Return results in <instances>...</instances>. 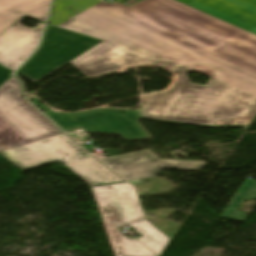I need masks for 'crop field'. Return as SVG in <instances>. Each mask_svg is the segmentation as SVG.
Returning <instances> with one entry per match:
<instances>
[{
	"instance_id": "obj_1",
	"label": "crop field",
	"mask_w": 256,
	"mask_h": 256,
	"mask_svg": "<svg viewBox=\"0 0 256 256\" xmlns=\"http://www.w3.org/2000/svg\"><path fill=\"white\" fill-rule=\"evenodd\" d=\"M58 27L104 40L70 62L87 77L158 64L179 73L142 111L97 109L47 113L66 132L150 136L139 118L200 126H245L256 116V35L175 0H144L124 10L101 2ZM190 69L211 76L191 84Z\"/></svg>"
},
{
	"instance_id": "obj_2",
	"label": "crop field",
	"mask_w": 256,
	"mask_h": 256,
	"mask_svg": "<svg viewBox=\"0 0 256 256\" xmlns=\"http://www.w3.org/2000/svg\"><path fill=\"white\" fill-rule=\"evenodd\" d=\"M0 154L22 170L59 160L90 185L123 181L64 134Z\"/></svg>"
},
{
	"instance_id": "obj_3",
	"label": "crop field",
	"mask_w": 256,
	"mask_h": 256,
	"mask_svg": "<svg viewBox=\"0 0 256 256\" xmlns=\"http://www.w3.org/2000/svg\"><path fill=\"white\" fill-rule=\"evenodd\" d=\"M57 134L61 132L22 98L14 76L0 88V151Z\"/></svg>"
},
{
	"instance_id": "obj_4",
	"label": "crop field",
	"mask_w": 256,
	"mask_h": 256,
	"mask_svg": "<svg viewBox=\"0 0 256 256\" xmlns=\"http://www.w3.org/2000/svg\"><path fill=\"white\" fill-rule=\"evenodd\" d=\"M116 256H155L116 228L142 217L133 187L126 182L92 187Z\"/></svg>"
},
{
	"instance_id": "obj_5",
	"label": "crop field",
	"mask_w": 256,
	"mask_h": 256,
	"mask_svg": "<svg viewBox=\"0 0 256 256\" xmlns=\"http://www.w3.org/2000/svg\"><path fill=\"white\" fill-rule=\"evenodd\" d=\"M100 42L49 25L41 49L18 74L37 82Z\"/></svg>"
},
{
	"instance_id": "obj_6",
	"label": "crop field",
	"mask_w": 256,
	"mask_h": 256,
	"mask_svg": "<svg viewBox=\"0 0 256 256\" xmlns=\"http://www.w3.org/2000/svg\"><path fill=\"white\" fill-rule=\"evenodd\" d=\"M126 181L155 177L161 168L199 170L205 162L158 159L149 152L102 159Z\"/></svg>"
},
{
	"instance_id": "obj_7",
	"label": "crop field",
	"mask_w": 256,
	"mask_h": 256,
	"mask_svg": "<svg viewBox=\"0 0 256 256\" xmlns=\"http://www.w3.org/2000/svg\"><path fill=\"white\" fill-rule=\"evenodd\" d=\"M21 17L9 29L0 35V64L13 72L36 49L44 23L30 28L22 25Z\"/></svg>"
},
{
	"instance_id": "obj_8",
	"label": "crop field",
	"mask_w": 256,
	"mask_h": 256,
	"mask_svg": "<svg viewBox=\"0 0 256 256\" xmlns=\"http://www.w3.org/2000/svg\"><path fill=\"white\" fill-rule=\"evenodd\" d=\"M256 34V0H177Z\"/></svg>"
},
{
	"instance_id": "obj_9",
	"label": "crop field",
	"mask_w": 256,
	"mask_h": 256,
	"mask_svg": "<svg viewBox=\"0 0 256 256\" xmlns=\"http://www.w3.org/2000/svg\"><path fill=\"white\" fill-rule=\"evenodd\" d=\"M51 0H0V34L21 16L45 22Z\"/></svg>"
},
{
	"instance_id": "obj_10",
	"label": "crop field",
	"mask_w": 256,
	"mask_h": 256,
	"mask_svg": "<svg viewBox=\"0 0 256 256\" xmlns=\"http://www.w3.org/2000/svg\"><path fill=\"white\" fill-rule=\"evenodd\" d=\"M249 199H256V181L246 179L226 207L221 217L244 222L248 215L238 211L237 208L243 200Z\"/></svg>"
},
{
	"instance_id": "obj_11",
	"label": "crop field",
	"mask_w": 256,
	"mask_h": 256,
	"mask_svg": "<svg viewBox=\"0 0 256 256\" xmlns=\"http://www.w3.org/2000/svg\"><path fill=\"white\" fill-rule=\"evenodd\" d=\"M144 236L137 238L141 243L160 256L170 239L145 220L129 224Z\"/></svg>"
},
{
	"instance_id": "obj_12",
	"label": "crop field",
	"mask_w": 256,
	"mask_h": 256,
	"mask_svg": "<svg viewBox=\"0 0 256 256\" xmlns=\"http://www.w3.org/2000/svg\"><path fill=\"white\" fill-rule=\"evenodd\" d=\"M12 74H13L12 71L0 66V85L4 81H6Z\"/></svg>"
},
{
	"instance_id": "obj_13",
	"label": "crop field",
	"mask_w": 256,
	"mask_h": 256,
	"mask_svg": "<svg viewBox=\"0 0 256 256\" xmlns=\"http://www.w3.org/2000/svg\"><path fill=\"white\" fill-rule=\"evenodd\" d=\"M31 101H32L37 107H39L41 110H43L45 113L51 111V110H50L51 108H49V107H47V106H44V105L38 103V102H40V100H38L37 98L31 99Z\"/></svg>"
},
{
	"instance_id": "obj_14",
	"label": "crop field",
	"mask_w": 256,
	"mask_h": 256,
	"mask_svg": "<svg viewBox=\"0 0 256 256\" xmlns=\"http://www.w3.org/2000/svg\"><path fill=\"white\" fill-rule=\"evenodd\" d=\"M112 5L117 6V7L121 8V9H124V8L127 7V6L122 5V4L118 3V2H116V3L112 4Z\"/></svg>"
},
{
	"instance_id": "obj_15",
	"label": "crop field",
	"mask_w": 256,
	"mask_h": 256,
	"mask_svg": "<svg viewBox=\"0 0 256 256\" xmlns=\"http://www.w3.org/2000/svg\"><path fill=\"white\" fill-rule=\"evenodd\" d=\"M140 182H141L140 180H135V181H129L128 183L134 184V183H140Z\"/></svg>"
},
{
	"instance_id": "obj_16",
	"label": "crop field",
	"mask_w": 256,
	"mask_h": 256,
	"mask_svg": "<svg viewBox=\"0 0 256 256\" xmlns=\"http://www.w3.org/2000/svg\"><path fill=\"white\" fill-rule=\"evenodd\" d=\"M145 98H146V96H145V97H142V103H143V101L145 100Z\"/></svg>"
}]
</instances>
